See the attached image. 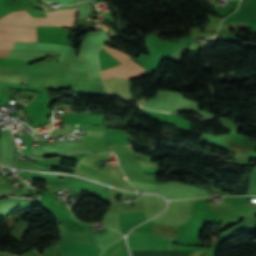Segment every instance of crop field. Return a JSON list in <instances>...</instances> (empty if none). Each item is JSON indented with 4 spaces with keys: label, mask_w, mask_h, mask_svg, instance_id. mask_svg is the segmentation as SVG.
I'll list each match as a JSON object with an SVG mask.
<instances>
[{
    "label": "crop field",
    "mask_w": 256,
    "mask_h": 256,
    "mask_svg": "<svg viewBox=\"0 0 256 256\" xmlns=\"http://www.w3.org/2000/svg\"><path fill=\"white\" fill-rule=\"evenodd\" d=\"M77 9L61 10L46 13L49 18H31L25 10L12 12L0 19V25L19 26H65L73 27Z\"/></svg>",
    "instance_id": "obj_1"
},
{
    "label": "crop field",
    "mask_w": 256,
    "mask_h": 256,
    "mask_svg": "<svg viewBox=\"0 0 256 256\" xmlns=\"http://www.w3.org/2000/svg\"><path fill=\"white\" fill-rule=\"evenodd\" d=\"M130 250H172L175 240H168L150 233L131 231L128 235Z\"/></svg>",
    "instance_id": "obj_2"
},
{
    "label": "crop field",
    "mask_w": 256,
    "mask_h": 256,
    "mask_svg": "<svg viewBox=\"0 0 256 256\" xmlns=\"http://www.w3.org/2000/svg\"><path fill=\"white\" fill-rule=\"evenodd\" d=\"M102 77H107L109 75L114 74L117 78H123L128 79L136 76L143 75L147 73L142 67L137 65L135 62H133L131 59L123 64H120L116 67H113L111 69L103 70L101 71ZM114 75L109 76L107 78H104L103 80L113 78Z\"/></svg>",
    "instance_id": "obj_3"
},
{
    "label": "crop field",
    "mask_w": 256,
    "mask_h": 256,
    "mask_svg": "<svg viewBox=\"0 0 256 256\" xmlns=\"http://www.w3.org/2000/svg\"><path fill=\"white\" fill-rule=\"evenodd\" d=\"M0 40L36 42L35 28L0 26Z\"/></svg>",
    "instance_id": "obj_4"
},
{
    "label": "crop field",
    "mask_w": 256,
    "mask_h": 256,
    "mask_svg": "<svg viewBox=\"0 0 256 256\" xmlns=\"http://www.w3.org/2000/svg\"><path fill=\"white\" fill-rule=\"evenodd\" d=\"M59 253L97 256L99 251L91 245L58 243Z\"/></svg>",
    "instance_id": "obj_5"
},
{
    "label": "crop field",
    "mask_w": 256,
    "mask_h": 256,
    "mask_svg": "<svg viewBox=\"0 0 256 256\" xmlns=\"http://www.w3.org/2000/svg\"><path fill=\"white\" fill-rule=\"evenodd\" d=\"M102 48L105 49L108 53H110L113 57H115L121 63H123L131 58V57H129L115 49H112L110 47H102Z\"/></svg>",
    "instance_id": "obj_6"
},
{
    "label": "crop field",
    "mask_w": 256,
    "mask_h": 256,
    "mask_svg": "<svg viewBox=\"0 0 256 256\" xmlns=\"http://www.w3.org/2000/svg\"><path fill=\"white\" fill-rule=\"evenodd\" d=\"M120 250V243L117 242L116 244L109 247L106 251H104L102 256H114V254Z\"/></svg>",
    "instance_id": "obj_7"
},
{
    "label": "crop field",
    "mask_w": 256,
    "mask_h": 256,
    "mask_svg": "<svg viewBox=\"0 0 256 256\" xmlns=\"http://www.w3.org/2000/svg\"><path fill=\"white\" fill-rule=\"evenodd\" d=\"M0 47L7 48V49H13V42H1L0 41Z\"/></svg>",
    "instance_id": "obj_8"
},
{
    "label": "crop field",
    "mask_w": 256,
    "mask_h": 256,
    "mask_svg": "<svg viewBox=\"0 0 256 256\" xmlns=\"http://www.w3.org/2000/svg\"><path fill=\"white\" fill-rule=\"evenodd\" d=\"M9 50L0 49V56L7 57Z\"/></svg>",
    "instance_id": "obj_9"
}]
</instances>
